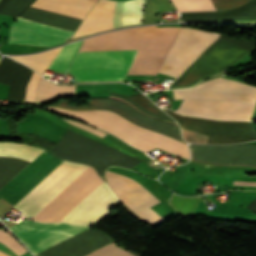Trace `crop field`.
I'll return each mask as SVG.
<instances>
[{
  "label": "crop field",
  "instance_id": "22",
  "mask_svg": "<svg viewBox=\"0 0 256 256\" xmlns=\"http://www.w3.org/2000/svg\"><path fill=\"white\" fill-rule=\"evenodd\" d=\"M201 197L183 198L172 195L169 203L181 214H192Z\"/></svg>",
  "mask_w": 256,
  "mask_h": 256
},
{
  "label": "crop field",
  "instance_id": "13",
  "mask_svg": "<svg viewBox=\"0 0 256 256\" xmlns=\"http://www.w3.org/2000/svg\"><path fill=\"white\" fill-rule=\"evenodd\" d=\"M192 160L215 165L256 167V145H189Z\"/></svg>",
  "mask_w": 256,
  "mask_h": 256
},
{
  "label": "crop field",
  "instance_id": "16",
  "mask_svg": "<svg viewBox=\"0 0 256 256\" xmlns=\"http://www.w3.org/2000/svg\"><path fill=\"white\" fill-rule=\"evenodd\" d=\"M182 1V0H171ZM218 10H229L249 0H213ZM212 0L172 2L178 12L217 10Z\"/></svg>",
  "mask_w": 256,
  "mask_h": 256
},
{
  "label": "crop field",
  "instance_id": "4",
  "mask_svg": "<svg viewBox=\"0 0 256 256\" xmlns=\"http://www.w3.org/2000/svg\"><path fill=\"white\" fill-rule=\"evenodd\" d=\"M94 3L96 0H88ZM94 4L85 0H36L32 6L48 9L51 11L63 13L66 15L84 18L89 9ZM30 6L19 17L65 29L74 32L82 19L66 16L63 14L51 12L48 10ZM16 17L17 21L13 22L10 32L59 44L69 37L72 32L26 20ZM8 43L34 44L53 46L55 44L11 34Z\"/></svg>",
  "mask_w": 256,
  "mask_h": 256
},
{
  "label": "crop field",
  "instance_id": "25",
  "mask_svg": "<svg viewBox=\"0 0 256 256\" xmlns=\"http://www.w3.org/2000/svg\"><path fill=\"white\" fill-rule=\"evenodd\" d=\"M40 77L41 76H39L37 73H35V72L33 73L32 77L27 85L25 101L34 102L36 86H37V82Z\"/></svg>",
  "mask_w": 256,
  "mask_h": 256
},
{
  "label": "crop field",
  "instance_id": "21",
  "mask_svg": "<svg viewBox=\"0 0 256 256\" xmlns=\"http://www.w3.org/2000/svg\"><path fill=\"white\" fill-rule=\"evenodd\" d=\"M35 0H0V14L16 17Z\"/></svg>",
  "mask_w": 256,
  "mask_h": 256
},
{
  "label": "crop field",
  "instance_id": "15",
  "mask_svg": "<svg viewBox=\"0 0 256 256\" xmlns=\"http://www.w3.org/2000/svg\"><path fill=\"white\" fill-rule=\"evenodd\" d=\"M32 70L3 56L0 60V83L9 85L7 101H24Z\"/></svg>",
  "mask_w": 256,
  "mask_h": 256
},
{
  "label": "crop field",
  "instance_id": "6",
  "mask_svg": "<svg viewBox=\"0 0 256 256\" xmlns=\"http://www.w3.org/2000/svg\"><path fill=\"white\" fill-rule=\"evenodd\" d=\"M56 112L81 119L101 129L111 132L129 145L145 152L157 147L167 152L189 159L187 144L173 140L157 132H151L133 125L131 122L108 111L74 112L56 107H49Z\"/></svg>",
  "mask_w": 256,
  "mask_h": 256
},
{
  "label": "crop field",
  "instance_id": "1",
  "mask_svg": "<svg viewBox=\"0 0 256 256\" xmlns=\"http://www.w3.org/2000/svg\"><path fill=\"white\" fill-rule=\"evenodd\" d=\"M62 161L44 150L0 190V197L12 205L15 204ZM86 167L63 161L13 205V208L31 218ZM104 182L88 166L33 218L58 221ZM119 202L105 182L59 221L90 225Z\"/></svg>",
  "mask_w": 256,
  "mask_h": 256
},
{
  "label": "crop field",
  "instance_id": "17",
  "mask_svg": "<svg viewBox=\"0 0 256 256\" xmlns=\"http://www.w3.org/2000/svg\"><path fill=\"white\" fill-rule=\"evenodd\" d=\"M65 95H75V85H54L41 77L37 86L36 102L48 101Z\"/></svg>",
  "mask_w": 256,
  "mask_h": 256
},
{
  "label": "crop field",
  "instance_id": "19",
  "mask_svg": "<svg viewBox=\"0 0 256 256\" xmlns=\"http://www.w3.org/2000/svg\"><path fill=\"white\" fill-rule=\"evenodd\" d=\"M110 95L117 96L119 98L129 101L131 104H133L139 110H141L155 118L174 122L170 117H168L166 114H164L160 109H158L153 103H151L143 95H134V96L125 97V96H121V95L111 93V92H110Z\"/></svg>",
  "mask_w": 256,
  "mask_h": 256
},
{
  "label": "crop field",
  "instance_id": "7",
  "mask_svg": "<svg viewBox=\"0 0 256 256\" xmlns=\"http://www.w3.org/2000/svg\"><path fill=\"white\" fill-rule=\"evenodd\" d=\"M50 153L64 160L91 165L101 178L109 166L130 169L140 162L69 130Z\"/></svg>",
  "mask_w": 256,
  "mask_h": 256
},
{
  "label": "crop field",
  "instance_id": "18",
  "mask_svg": "<svg viewBox=\"0 0 256 256\" xmlns=\"http://www.w3.org/2000/svg\"><path fill=\"white\" fill-rule=\"evenodd\" d=\"M60 49L61 47L39 54L10 57L28 65L42 75V73L46 70V68L49 66L50 62Z\"/></svg>",
  "mask_w": 256,
  "mask_h": 256
},
{
  "label": "crop field",
  "instance_id": "5",
  "mask_svg": "<svg viewBox=\"0 0 256 256\" xmlns=\"http://www.w3.org/2000/svg\"><path fill=\"white\" fill-rule=\"evenodd\" d=\"M10 228L37 254L89 227L22 220ZM111 241L103 232L88 229L36 256H83Z\"/></svg>",
  "mask_w": 256,
  "mask_h": 256
},
{
  "label": "crop field",
  "instance_id": "11",
  "mask_svg": "<svg viewBox=\"0 0 256 256\" xmlns=\"http://www.w3.org/2000/svg\"><path fill=\"white\" fill-rule=\"evenodd\" d=\"M217 38L214 33L182 27L158 72L177 77Z\"/></svg>",
  "mask_w": 256,
  "mask_h": 256
},
{
  "label": "crop field",
  "instance_id": "24",
  "mask_svg": "<svg viewBox=\"0 0 256 256\" xmlns=\"http://www.w3.org/2000/svg\"><path fill=\"white\" fill-rule=\"evenodd\" d=\"M2 231L0 230V242L2 244H4L8 249H10L17 256L26 252V250L18 242H16L13 238H11L9 235L5 234ZM0 256H6V255L0 252Z\"/></svg>",
  "mask_w": 256,
  "mask_h": 256
},
{
  "label": "crop field",
  "instance_id": "12",
  "mask_svg": "<svg viewBox=\"0 0 256 256\" xmlns=\"http://www.w3.org/2000/svg\"><path fill=\"white\" fill-rule=\"evenodd\" d=\"M105 176L118 198L136 214L154 225L164 221V219L149 208L160 201L143 186L127 177L111 172L106 171Z\"/></svg>",
  "mask_w": 256,
  "mask_h": 256
},
{
  "label": "crop field",
  "instance_id": "10",
  "mask_svg": "<svg viewBox=\"0 0 256 256\" xmlns=\"http://www.w3.org/2000/svg\"><path fill=\"white\" fill-rule=\"evenodd\" d=\"M171 115L180 127L209 135L206 143L229 144L242 141L256 140V131L251 122H223L180 116L173 111L163 109Z\"/></svg>",
  "mask_w": 256,
  "mask_h": 256
},
{
  "label": "crop field",
  "instance_id": "3",
  "mask_svg": "<svg viewBox=\"0 0 256 256\" xmlns=\"http://www.w3.org/2000/svg\"><path fill=\"white\" fill-rule=\"evenodd\" d=\"M173 95L184 99L176 112L223 120H250L256 103V88L223 78L173 90Z\"/></svg>",
  "mask_w": 256,
  "mask_h": 256
},
{
  "label": "crop field",
  "instance_id": "8",
  "mask_svg": "<svg viewBox=\"0 0 256 256\" xmlns=\"http://www.w3.org/2000/svg\"><path fill=\"white\" fill-rule=\"evenodd\" d=\"M113 4L112 0H100L90 10L71 38L109 30ZM143 6L144 0L115 1L111 29L141 24Z\"/></svg>",
  "mask_w": 256,
  "mask_h": 256
},
{
  "label": "crop field",
  "instance_id": "20",
  "mask_svg": "<svg viewBox=\"0 0 256 256\" xmlns=\"http://www.w3.org/2000/svg\"><path fill=\"white\" fill-rule=\"evenodd\" d=\"M80 44L81 41H78L63 46V48L60 50V52L57 54L47 69L65 73Z\"/></svg>",
  "mask_w": 256,
  "mask_h": 256
},
{
  "label": "crop field",
  "instance_id": "14",
  "mask_svg": "<svg viewBox=\"0 0 256 256\" xmlns=\"http://www.w3.org/2000/svg\"><path fill=\"white\" fill-rule=\"evenodd\" d=\"M43 149L26 144L0 142V157H12L31 162ZM0 158V189L19 173L29 162Z\"/></svg>",
  "mask_w": 256,
  "mask_h": 256
},
{
  "label": "crop field",
  "instance_id": "2",
  "mask_svg": "<svg viewBox=\"0 0 256 256\" xmlns=\"http://www.w3.org/2000/svg\"><path fill=\"white\" fill-rule=\"evenodd\" d=\"M181 27H147L85 40L68 70L76 82L122 80L128 74L156 75Z\"/></svg>",
  "mask_w": 256,
  "mask_h": 256
},
{
  "label": "crop field",
  "instance_id": "27",
  "mask_svg": "<svg viewBox=\"0 0 256 256\" xmlns=\"http://www.w3.org/2000/svg\"><path fill=\"white\" fill-rule=\"evenodd\" d=\"M234 185H248V186H256V182L234 181Z\"/></svg>",
  "mask_w": 256,
  "mask_h": 256
},
{
  "label": "crop field",
  "instance_id": "9",
  "mask_svg": "<svg viewBox=\"0 0 256 256\" xmlns=\"http://www.w3.org/2000/svg\"><path fill=\"white\" fill-rule=\"evenodd\" d=\"M246 53H248V51L218 38L201 56L199 55L200 57L191 64L176 81L168 86V89L190 87L196 82L231 66Z\"/></svg>",
  "mask_w": 256,
  "mask_h": 256
},
{
  "label": "crop field",
  "instance_id": "26",
  "mask_svg": "<svg viewBox=\"0 0 256 256\" xmlns=\"http://www.w3.org/2000/svg\"><path fill=\"white\" fill-rule=\"evenodd\" d=\"M63 120H65L66 122H68V123H70V124H72L74 126H77V127L82 128L84 130H87V131H89L91 133L99 135L101 137H103L105 135V133H103L101 131H98L96 129H93V128L89 127V126H86V125H83V124H80V123H77V122H74V121H71V120H66V119H63Z\"/></svg>",
  "mask_w": 256,
  "mask_h": 256
},
{
  "label": "crop field",
  "instance_id": "23",
  "mask_svg": "<svg viewBox=\"0 0 256 256\" xmlns=\"http://www.w3.org/2000/svg\"><path fill=\"white\" fill-rule=\"evenodd\" d=\"M86 256H135V255L118 247L112 242Z\"/></svg>",
  "mask_w": 256,
  "mask_h": 256
}]
</instances>
